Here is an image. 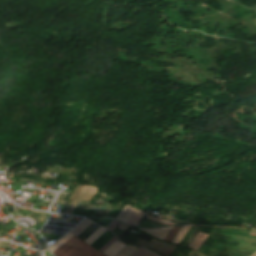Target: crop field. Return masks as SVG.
<instances>
[{
    "label": "crop field",
    "instance_id": "10",
    "mask_svg": "<svg viewBox=\"0 0 256 256\" xmlns=\"http://www.w3.org/2000/svg\"><path fill=\"white\" fill-rule=\"evenodd\" d=\"M74 235L68 233L65 235L62 239H60L58 242H56L53 246L50 247L51 252L53 253L56 251L60 246H62L65 242H67L71 237Z\"/></svg>",
    "mask_w": 256,
    "mask_h": 256
},
{
    "label": "crop field",
    "instance_id": "19",
    "mask_svg": "<svg viewBox=\"0 0 256 256\" xmlns=\"http://www.w3.org/2000/svg\"><path fill=\"white\" fill-rule=\"evenodd\" d=\"M139 213H140V211L136 210L134 212V214L132 215V217L127 221V224L131 225L133 223V221L136 219V217L138 216Z\"/></svg>",
    "mask_w": 256,
    "mask_h": 256
},
{
    "label": "crop field",
    "instance_id": "28",
    "mask_svg": "<svg viewBox=\"0 0 256 256\" xmlns=\"http://www.w3.org/2000/svg\"><path fill=\"white\" fill-rule=\"evenodd\" d=\"M204 228H208V227H205V226H204ZM204 228L202 229V231H203V232H206V233H208V234H209V233L211 232V230H212V228H208V229H211V230H207V229H204Z\"/></svg>",
    "mask_w": 256,
    "mask_h": 256
},
{
    "label": "crop field",
    "instance_id": "16",
    "mask_svg": "<svg viewBox=\"0 0 256 256\" xmlns=\"http://www.w3.org/2000/svg\"><path fill=\"white\" fill-rule=\"evenodd\" d=\"M152 253L140 248L137 252H135L132 256H150Z\"/></svg>",
    "mask_w": 256,
    "mask_h": 256
},
{
    "label": "crop field",
    "instance_id": "8",
    "mask_svg": "<svg viewBox=\"0 0 256 256\" xmlns=\"http://www.w3.org/2000/svg\"><path fill=\"white\" fill-rule=\"evenodd\" d=\"M138 248L127 244L114 256H131Z\"/></svg>",
    "mask_w": 256,
    "mask_h": 256
},
{
    "label": "crop field",
    "instance_id": "29",
    "mask_svg": "<svg viewBox=\"0 0 256 256\" xmlns=\"http://www.w3.org/2000/svg\"><path fill=\"white\" fill-rule=\"evenodd\" d=\"M251 256H256V251H255V253H254L253 255H251Z\"/></svg>",
    "mask_w": 256,
    "mask_h": 256
},
{
    "label": "crop field",
    "instance_id": "13",
    "mask_svg": "<svg viewBox=\"0 0 256 256\" xmlns=\"http://www.w3.org/2000/svg\"><path fill=\"white\" fill-rule=\"evenodd\" d=\"M146 218H148L150 220H153V221H156L158 223L164 224L166 226H170V225L174 224V222H170V221H167V220H164V219H160V218H157V217H153V216H149V215H147Z\"/></svg>",
    "mask_w": 256,
    "mask_h": 256
},
{
    "label": "crop field",
    "instance_id": "7",
    "mask_svg": "<svg viewBox=\"0 0 256 256\" xmlns=\"http://www.w3.org/2000/svg\"><path fill=\"white\" fill-rule=\"evenodd\" d=\"M93 222L84 219L79 225H77L72 231L71 233L75 234V235H79L80 233H82L88 226H90Z\"/></svg>",
    "mask_w": 256,
    "mask_h": 256
},
{
    "label": "crop field",
    "instance_id": "20",
    "mask_svg": "<svg viewBox=\"0 0 256 256\" xmlns=\"http://www.w3.org/2000/svg\"><path fill=\"white\" fill-rule=\"evenodd\" d=\"M119 223L120 222L113 220L106 228L112 231Z\"/></svg>",
    "mask_w": 256,
    "mask_h": 256
},
{
    "label": "crop field",
    "instance_id": "15",
    "mask_svg": "<svg viewBox=\"0 0 256 256\" xmlns=\"http://www.w3.org/2000/svg\"><path fill=\"white\" fill-rule=\"evenodd\" d=\"M180 229V227H173L172 231L169 233V235L166 237L165 241L171 242L177 231Z\"/></svg>",
    "mask_w": 256,
    "mask_h": 256
},
{
    "label": "crop field",
    "instance_id": "1",
    "mask_svg": "<svg viewBox=\"0 0 256 256\" xmlns=\"http://www.w3.org/2000/svg\"><path fill=\"white\" fill-rule=\"evenodd\" d=\"M53 254L55 256H104L75 236Z\"/></svg>",
    "mask_w": 256,
    "mask_h": 256
},
{
    "label": "crop field",
    "instance_id": "17",
    "mask_svg": "<svg viewBox=\"0 0 256 256\" xmlns=\"http://www.w3.org/2000/svg\"><path fill=\"white\" fill-rule=\"evenodd\" d=\"M117 239L113 237L111 240H109L103 247L99 249V251L103 252L105 249H107L113 242H115Z\"/></svg>",
    "mask_w": 256,
    "mask_h": 256
},
{
    "label": "crop field",
    "instance_id": "6",
    "mask_svg": "<svg viewBox=\"0 0 256 256\" xmlns=\"http://www.w3.org/2000/svg\"><path fill=\"white\" fill-rule=\"evenodd\" d=\"M135 211L134 208H131L129 206H125V208L120 212V214L117 216V219L126 222L128 218L133 214Z\"/></svg>",
    "mask_w": 256,
    "mask_h": 256
},
{
    "label": "crop field",
    "instance_id": "22",
    "mask_svg": "<svg viewBox=\"0 0 256 256\" xmlns=\"http://www.w3.org/2000/svg\"><path fill=\"white\" fill-rule=\"evenodd\" d=\"M143 215H144V212L141 211V213H140L139 216L137 217L136 221L132 224V226H136V225L139 223V221H140V219H141V217H142Z\"/></svg>",
    "mask_w": 256,
    "mask_h": 256
},
{
    "label": "crop field",
    "instance_id": "31",
    "mask_svg": "<svg viewBox=\"0 0 256 256\" xmlns=\"http://www.w3.org/2000/svg\"><path fill=\"white\" fill-rule=\"evenodd\" d=\"M1 242H2V241L0 240V244H1Z\"/></svg>",
    "mask_w": 256,
    "mask_h": 256
},
{
    "label": "crop field",
    "instance_id": "12",
    "mask_svg": "<svg viewBox=\"0 0 256 256\" xmlns=\"http://www.w3.org/2000/svg\"><path fill=\"white\" fill-rule=\"evenodd\" d=\"M198 235V234H197ZM206 234L199 233V235L196 237V239L193 241V243L190 245L191 248H195L198 250L204 239L206 238Z\"/></svg>",
    "mask_w": 256,
    "mask_h": 256
},
{
    "label": "crop field",
    "instance_id": "9",
    "mask_svg": "<svg viewBox=\"0 0 256 256\" xmlns=\"http://www.w3.org/2000/svg\"><path fill=\"white\" fill-rule=\"evenodd\" d=\"M107 230L100 227L97 231H95L89 238H87L84 242L88 244H92L95 240H97L104 232Z\"/></svg>",
    "mask_w": 256,
    "mask_h": 256
},
{
    "label": "crop field",
    "instance_id": "2",
    "mask_svg": "<svg viewBox=\"0 0 256 256\" xmlns=\"http://www.w3.org/2000/svg\"><path fill=\"white\" fill-rule=\"evenodd\" d=\"M136 244L145 246L147 248L154 249L166 256H168L172 252V250L176 247V245L161 242L154 238H152V240L150 242L138 238Z\"/></svg>",
    "mask_w": 256,
    "mask_h": 256
},
{
    "label": "crop field",
    "instance_id": "5",
    "mask_svg": "<svg viewBox=\"0 0 256 256\" xmlns=\"http://www.w3.org/2000/svg\"><path fill=\"white\" fill-rule=\"evenodd\" d=\"M171 227L169 228H161V229H154V230H144L162 240H164V238L166 237V235L168 234V232L170 231Z\"/></svg>",
    "mask_w": 256,
    "mask_h": 256
},
{
    "label": "crop field",
    "instance_id": "25",
    "mask_svg": "<svg viewBox=\"0 0 256 256\" xmlns=\"http://www.w3.org/2000/svg\"><path fill=\"white\" fill-rule=\"evenodd\" d=\"M189 255H191V256H205V255H202V254H200L198 252H195L193 250L190 251Z\"/></svg>",
    "mask_w": 256,
    "mask_h": 256
},
{
    "label": "crop field",
    "instance_id": "24",
    "mask_svg": "<svg viewBox=\"0 0 256 256\" xmlns=\"http://www.w3.org/2000/svg\"><path fill=\"white\" fill-rule=\"evenodd\" d=\"M246 243L256 244V238H250V237H248L247 240H246Z\"/></svg>",
    "mask_w": 256,
    "mask_h": 256
},
{
    "label": "crop field",
    "instance_id": "23",
    "mask_svg": "<svg viewBox=\"0 0 256 256\" xmlns=\"http://www.w3.org/2000/svg\"><path fill=\"white\" fill-rule=\"evenodd\" d=\"M112 232H113L116 236H118V237H120V238L124 235L123 232H121V231H119V230H117V229L113 230Z\"/></svg>",
    "mask_w": 256,
    "mask_h": 256
},
{
    "label": "crop field",
    "instance_id": "27",
    "mask_svg": "<svg viewBox=\"0 0 256 256\" xmlns=\"http://www.w3.org/2000/svg\"><path fill=\"white\" fill-rule=\"evenodd\" d=\"M249 235L256 236V230L251 229Z\"/></svg>",
    "mask_w": 256,
    "mask_h": 256
},
{
    "label": "crop field",
    "instance_id": "18",
    "mask_svg": "<svg viewBox=\"0 0 256 256\" xmlns=\"http://www.w3.org/2000/svg\"><path fill=\"white\" fill-rule=\"evenodd\" d=\"M239 247L244 248V249H248V250H251V251L256 250V246H252V245L245 244V243H241Z\"/></svg>",
    "mask_w": 256,
    "mask_h": 256
},
{
    "label": "crop field",
    "instance_id": "4",
    "mask_svg": "<svg viewBox=\"0 0 256 256\" xmlns=\"http://www.w3.org/2000/svg\"><path fill=\"white\" fill-rule=\"evenodd\" d=\"M105 233V232H104ZM103 233V234H104ZM114 235H112L110 232H106L104 235H102L96 242H94L91 246L95 249H99L101 246H103L109 239H111Z\"/></svg>",
    "mask_w": 256,
    "mask_h": 256
},
{
    "label": "crop field",
    "instance_id": "21",
    "mask_svg": "<svg viewBox=\"0 0 256 256\" xmlns=\"http://www.w3.org/2000/svg\"><path fill=\"white\" fill-rule=\"evenodd\" d=\"M191 228H192V227H191ZM195 228H196V226H193V228L190 230V232H189V231H188L189 233L187 232V233H188L187 236L185 235L186 237L184 236V237H185L184 240L182 239V240H183V241L181 242L182 245H184V243H185L186 240L189 238V236L191 235V233L193 232V230H194Z\"/></svg>",
    "mask_w": 256,
    "mask_h": 256
},
{
    "label": "crop field",
    "instance_id": "11",
    "mask_svg": "<svg viewBox=\"0 0 256 256\" xmlns=\"http://www.w3.org/2000/svg\"><path fill=\"white\" fill-rule=\"evenodd\" d=\"M191 226H183L181 229L178 231L174 239L172 240V243L178 244L179 241L182 239V237L186 234V232L189 230Z\"/></svg>",
    "mask_w": 256,
    "mask_h": 256
},
{
    "label": "crop field",
    "instance_id": "26",
    "mask_svg": "<svg viewBox=\"0 0 256 256\" xmlns=\"http://www.w3.org/2000/svg\"><path fill=\"white\" fill-rule=\"evenodd\" d=\"M118 228H120V229L125 231V230L129 229L130 227H128V226H126V225L121 223V225Z\"/></svg>",
    "mask_w": 256,
    "mask_h": 256
},
{
    "label": "crop field",
    "instance_id": "30",
    "mask_svg": "<svg viewBox=\"0 0 256 256\" xmlns=\"http://www.w3.org/2000/svg\"><path fill=\"white\" fill-rule=\"evenodd\" d=\"M151 256H156V255L152 254Z\"/></svg>",
    "mask_w": 256,
    "mask_h": 256
},
{
    "label": "crop field",
    "instance_id": "3",
    "mask_svg": "<svg viewBox=\"0 0 256 256\" xmlns=\"http://www.w3.org/2000/svg\"><path fill=\"white\" fill-rule=\"evenodd\" d=\"M126 243L121 241H116L113 243L107 250H105L103 253H105L107 256H113L116 254L122 247H124ZM104 254V255H105Z\"/></svg>",
    "mask_w": 256,
    "mask_h": 256
},
{
    "label": "crop field",
    "instance_id": "14",
    "mask_svg": "<svg viewBox=\"0 0 256 256\" xmlns=\"http://www.w3.org/2000/svg\"><path fill=\"white\" fill-rule=\"evenodd\" d=\"M91 220L106 227L112 219L92 218Z\"/></svg>",
    "mask_w": 256,
    "mask_h": 256
}]
</instances>
